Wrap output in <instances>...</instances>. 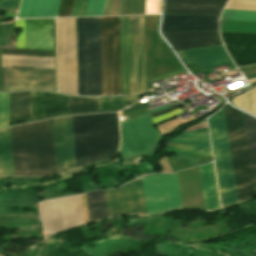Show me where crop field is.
<instances>
[{"label":"crop field","instance_id":"obj_1","mask_svg":"<svg viewBox=\"0 0 256 256\" xmlns=\"http://www.w3.org/2000/svg\"><path fill=\"white\" fill-rule=\"evenodd\" d=\"M15 176L56 174L52 119L11 128Z\"/></svg>","mask_w":256,"mask_h":256},{"label":"crop field","instance_id":"obj_2","mask_svg":"<svg viewBox=\"0 0 256 256\" xmlns=\"http://www.w3.org/2000/svg\"><path fill=\"white\" fill-rule=\"evenodd\" d=\"M76 167L112 158L119 131L116 113L72 116Z\"/></svg>","mask_w":256,"mask_h":256},{"label":"crop field","instance_id":"obj_3","mask_svg":"<svg viewBox=\"0 0 256 256\" xmlns=\"http://www.w3.org/2000/svg\"><path fill=\"white\" fill-rule=\"evenodd\" d=\"M122 95L145 92L143 16L119 17Z\"/></svg>","mask_w":256,"mask_h":256},{"label":"crop field","instance_id":"obj_4","mask_svg":"<svg viewBox=\"0 0 256 256\" xmlns=\"http://www.w3.org/2000/svg\"><path fill=\"white\" fill-rule=\"evenodd\" d=\"M78 95H102L99 18H76Z\"/></svg>","mask_w":256,"mask_h":256},{"label":"crop field","instance_id":"obj_5","mask_svg":"<svg viewBox=\"0 0 256 256\" xmlns=\"http://www.w3.org/2000/svg\"><path fill=\"white\" fill-rule=\"evenodd\" d=\"M222 207L238 202L223 108L208 119Z\"/></svg>","mask_w":256,"mask_h":256},{"label":"crop field","instance_id":"obj_6","mask_svg":"<svg viewBox=\"0 0 256 256\" xmlns=\"http://www.w3.org/2000/svg\"><path fill=\"white\" fill-rule=\"evenodd\" d=\"M239 202L255 195L242 113L224 106Z\"/></svg>","mask_w":256,"mask_h":256},{"label":"crop field","instance_id":"obj_7","mask_svg":"<svg viewBox=\"0 0 256 256\" xmlns=\"http://www.w3.org/2000/svg\"><path fill=\"white\" fill-rule=\"evenodd\" d=\"M58 91L77 95L75 18L56 19Z\"/></svg>","mask_w":256,"mask_h":256},{"label":"crop field","instance_id":"obj_8","mask_svg":"<svg viewBox=\"0 0 256 256\" xmlns=\"http://www.w3.org/2000/svg\"><path fill=\"white\" fill-rule=\"evenodd\" d=\"M103 95L121 94L118 17H100Z\"/></svg>","mask_w":256,"mask_h":256},{"label":"crop field","instance_id":"obj_9","mask_svg":"<svg viewBox=\"0 0 256 256\" xmlns=\"http://www.w3.org/2000/svg\"><path fill=\"white\" fill-rule=\"evenodd\" d=\"M141 181L147 214L182 208L176 173L152 174Z\"/></svg>","mask_w":256,"mask_h":256},{"label":"crop field","instance_id":"obj_10","mask_svg":"<svg viewBox=\"0 0 256 256\" xmlns=\"http://www.w3.org/2000/svg\"><path fill=\"white\" fill-rule=\"evenodd\" d=\"M167 107L170 105L151 109L150 113ZM150 113L121 123L122 144L120 150L124 157L149 150L160 135V132L152 125Z\"/></svg>","mask_w":256,"mask_h":256},{"label":"crop field","instance_id":"obj_11","mask_svg":"<svg viewBox=\"0 0 256 256\" xmlns=\"http://www.w3.org/2000/svg\"><path fill=\"white\" fill-rule=\"evenodd\" d=\"M3 91H55L54 70L2 68Z\"/></svg>","mask_w":256,"mask_h":256},{"label":"crop field","instance_id":"obj_12","mask_svg":"<svg viewBox=\"0 0 256 256\" xmlns=\"http://www.w3.org/2000/svg\"><path fill=\"white\" fill-rule=\"evenodd\" d=\"M105 194L109 217L125 213L146 215L140 178Z\"/></svg>","mask_w":256,"mask_h":256},{"label":"crop field","instance_id":"obj_13","mask_svg":"<svg viewBox=\"0 0 256 256\" xmlns=\"http://www.w3.org/2000/svg\"><path fill=\"white\" fill-rule=\"evenodd\" d=\"M58 173L75 167L71 116L53 119Z\"/></svg>","mask_w":256,"mask_h":256},{"label":"crop field","instance_id":"obj_14","mask_svg":"<svg viewBox=\"0 0 256 256\" xmlns=\"http://www.w3.org/2000/svg\"><path fill=\"white\" fill-rule=\"evenodd\" d=\"M221 35L237 67L256 63V33L221 32Z\"/></svg>","mask_w":256,"mask_h":256},{"label":"crop field","instance_id":"obj_15","mask_svg":"<svg viewBox=\"0 0 256 256\" xmlns=\"http://www.w3.org/2000/svg\"><path fill=\"white\" fill-rule=\"evenodd\" d=\"M177 53L185 63L196 62L201 71L224 64H226L230 70L234 69L222 45L179 51Z\"/></svg>","mask_w":256,"mask_h":256},{"label":"crop field","instance_id":"obj_16","mask_svg":"<svg viewBox=\"0 0 256 256\" xmlns=\"http://www.w3.org/2000/svg\"><path fill=\"white\" fill-rule=\"evenodd\" d=\"M31 118L69 112L68 97L52 92H30Z\"/></svg>","mask_w":256,"mask_h":256},{"label":"crop field","instance_id":"obj_17","mask_svg":"<svg viewBox=\"0 0 256 256\" xmlns=\"http://www.w3.org/2000/svg\"><path fill=\"white\" fill-rule=\"evenodd\" d=\"M26 48L54 50L53 19L25 20Z\"/></svg>","mask_w":256,"mask_h":256},{"label":"crop field","instance_id":"obj_18","mask_svg":"<svg viewBox=\"0 0 256 256\" xmlns=\"http://www.w3.org/2000/svg\"><path fill=\"white\" fill-rule=\"evenodd\" d=\"M183 208L204 207L198 167L177 173Z\"/></svg>","mask_w":256,"mask_h":256},{"label":"crop field","instance_id":"obj_19","mask_svg":"<svg viewBox=\"0 0 256 256\" xmlns=\"http://www.w3.org/2000/svg\"><path fill=\"white\" fill-rule=\"evenodd\" d=\"M175 50L222 44L218 30L163 33Z\"/></svg>","mask_w":256,"mask_h":256},{"label":"crop field","instance_id":"obj_20","mask_svg":"<svg viewBox=\"0 0 256 256\" xmlns=\"http://www.w3.org/2000/svg\"><path fill=\"white\" fill-rule=\"evenodd\" d=\"M224 5L201 0H165L164 14L219 15Z\"/></svg>","mask_w":256,"mask_h":256},{"label":"crop field","instance_id":"obj_21","mask_svg":"<svg viewBox=\"0 0 256 256\" xmlns=\"http://www.w3.org/2000/svg\"><path fill=\"white\" fill-rule=\"evenodd\" d=\"M218 29V17L164 15L162 31Z\"/></svg>","mask_w":256,"mask_h":256},{"label":"crop field","instance_id":"obj_22","mask_svg":"<svg viewBox=\"0 0 256 256\" xmlns=\"http://www.w3.org/2000/svg\"><path fill=\"white\" fill-rule=\"evenodd\" d=\"M206 210L219 208L213 166L207 164L199 167Z\"/></svg>","mask_w":256,"mask_h":256},{"label":"crop field","instance_id":"obj_23","mask_svg":"<svg viewBox=\"0 0 256 256\" xmlns=\"http://www.w3.org/2000/svg\"><path fill=\"white\" fill-rule=\"evenodd\" d=\"M2 67L54 68V58L1 55Z\"/></svg>","mask_w":256,"mask_h":256},{"label":"crop field","instance_id":"obj_24","mask_svg":"<svg viewBox=\"0 0 256 256\" xmlns=\"http://www.w3.org/2000/svg\"><path fill=\"white\" fill-rule=\"evenodd\" d=\"M14 176L10 128L0 131V177Z\"/></svg>","mask_w":256,"mask_h":256},{"label":"crop field","instance_id":"obj_25","mask_svg":"<svg viewBox=\"0 0 256 256\" xmlns=\"http://www.w3.org/2000/svg\"><path fill=\"white\" fill-rule=\"evenodd\" d=\"M12 122L30 118L29 92L11 93Z\"/></svg>","mask_w":256,"mask_h":256},{"label":"crop field","instance_id":"obj_26","mask_svg":"<svg viewBox=\"0 0 256 256\" xmlns=\"http://www.w3.org/2000/svg\"><path fill=\"white\" fill-rule=\"evenodd\" d=\"M90 221L108 217L104 191L86 194Z\"/></svg>","mask_w":256,"mask_h":256},{"label":"crop field","instance_id":"obj_27","mask_svg":"<svg viewBox=\"0 0 256 256\" xmlns=\"http://www.w3.org/2000/svg\"><path fill=\"white\" fill-rule=\"evenodd\" d=\"M251 166L256 187V119L243 113Z\"/></svg>","mask_w":256,"mask_h":256},{"label":"crop field","instance_id":"obj_28","mask_svg":"<svg viewBox=\"0 0 256 256\" xmlns=\"http://www.w3.org/2000/svg\"><path fill=\"white\" fill-rule=\"evenodd\" d=\"M167 146L188 150L211 151L209 139L173 138Z\"/></svg>","mask_w":256,"mask_h":256},{"label":"crop field","instance_id":"obj_29","mask_svg":"<svg viewBox=\"0 0 256 256\" xmlns=\"http://www.w3.org/2000/svg\"><path fill=\"white\" fill-rule=\"evenodd\" d=\"M60 0H35L30 17H55Z\"/></svg>","mask_w":256,"mask_h":256},{"label":"crop field","instance_id":"obj_30","mask_svg":"<svg viewBox=\"0 0 256 256\" xmlns=\"http://www.w3.org/2000/svg\"><path fill=\"white\" fill-rule=\"evenodd\" d=\"M136 96L98 99L99 110H117L137 100Z\"/></svg>","mask_w":256,"mask_h":256},{"label":"crop field","instance_id":"obj_31","mask_svg":"<svg viewBox=\"0 0 256 256\" xmlns=\"http://www.w3.org/2000/svg\"><path fill=\"white\" fill-rule=\"evenodd\" d=\"M232 102L234 105L256 115V88L240 97H234Z\"/></svg>","mask_w":256,"mask_h":256},{"label":"crop field","instance_id":"obj_32","mask_svg":"<svg viewBox=\"0 0 256 256\" xmlns=\"http://www.w3.org/2000/svg\"><path fill=\"white\" fill-rule=\"evenodd\" d=\"M70 113L97 110V99L69 97Z\"/></svg>","mask_w":256,"mask_h":256},{"label":"crop field","instance_id":"obj_33","mask_svg":"<svg viewBox=\"0 0 256 256\" xmlns=\"http://www.w3.org/2000/svg\"><path fill=\"white\" fill-rule=\"evenodd\" d=\"M221 20L256 21V12L223 10Z\"/></svg>","mask_w":256,"mask_h":256},{"label":"crop field","instance_id":"obj_34","mask_svg":"<svg viewBox=\"0 0 256 256\" xmlns=\"http://www.w3.org/2000/svg\"><path fill=\"white\" fill-rule=\"evenodd\" d=\"M9 125L8 93L0 94V129Z\"/></svg>","mask_w":256,"mask_h":256},{"label":"crop field","instance_id":"obj_35","mask_svg":"<svg viewBox=\"0 0 256 256\" xmlns=\"http://www.w3.org/2000/svg\"><path fill=\"white\" fill-rule=\"evenodd\" d=\"M225 9L256 11V0H230Z\"/></svg>","mask_w":256,"mask_h":256},{"label":"crop field","instance_id":"obj_36","mask_svg":"<svg viewBox=\"0 0 256 256\" xmlns=\"http://www.w3.org/2000/svg\"><path fill=\"white\" fill-rule=\"evenodd\" d=\"M1 54L13 55H36V56H54V52H41L28 49H4L0 48Z\"/></svg>","mask_w":256,"mask_h":256},{"label":"crop field","instance_id":"obj_37","mask_svg":"<svg viewBox=\"0 0 256 256\" xmlns=\"http://www.w3.org/2000/svg\"><path fill=\"white\" fill-rule=\"evenodd\" d=\"M106 0H89L85 16L102 15Z\"/></svg>","mask_w":256,"mask_h":256},{"label":"crop field","instance_id":"obj_38","mask_svg":"<svg viewBox=\"0 0 256 256\" xmlns=\"http://www.w3.org/2000/svg\"><path fill=\"white\" fill-rule=\"evenodd\" d=\"M14 33V22L11 24L0 25V45H5L6 36Z\"/></svg>","mask_w":256,"mask_h":256},{"label":"crop field","instance_id":"obj_39","mask_svg":"<svg viewBox=\"0 0 256 256\" xmlns=\"http://www.w3.org/2000/svg\"><path fill=\"white\" fill-rule=\"evenodd\" d=\"M88 0H75L71 16H84Z\"/></svg>","mask_w":256,"mask_h":256},{"label":"crop field","instance_id":"obj_40","mask_svg":"<svg viewBox=\"0 0 256 256\" xmlns=\"http://www.w3.org/2000/svg\"><path fill=\"white\" fill-rule=\"evenodd\" d=\"M34 0H22L18 18L29 17Z\"/></svg>","mask_w":256,"mask_h":256},{"label":"crop field","instance_id":"obj_41","mask_svg":"<svg viewBox=\"0 0 256 256\" xmlns=\"http://www.w3.org/2000/svg\"><path fill=\"white\" fill-rule=\"evenodd\" d=\"M178 137L180 138H197V137H209L208 130L202 129V130H196V131H188L180 134Z\"/></svg>","mask_w":256,"mask_h":256},{"label":"crop field","instance_id":"obj_42","mask_svg":"<svg viewBox=\"0 0 256 256\" xmlns=\"http://www.w3.org/2000/svg\"><path fill=\"white\" fill-rule=\"evenodd\" d=\"M160 13V0H146V14Z\"/></svg>","mask_w":256,"mask_h":256},{"label":"crop field","instance_id":"obj_43","mask_svg":"<svg viewBox=\"0 0 256 256\" xmlns=\"http://www.w3.org/2000/svg\"><path fill=\"white\" fill-rule=\"evenodd\" d=\"M74 0H62L60 12L58 17L70 16Z\"/></svg>","mask_w":256,"mask_h":256},{"label":"crop field","instance_id":"obj_44","mask_svg":"<svg viewBox=\"0 0 256 256\" xmlns=\"http://www.w3.org/2000/svg\"><path fill=\"white\" fill-rule=\"evenodd\" d=\"M20 0H0V8L18 10Z\"/></svg>","mask_w":256,"mask_h":256},{"label":"crop field","instance_id":"obj_45","mask_svg":"<svg viewBox=\"0 0 256 256\" xmlns=\"http://www.w3.org/2000/svg\"><path fill=\"white\" fill-rule=\"evenodd\" d=\"M186 71L183 69V70H179V71H176V72H172V73H169V74H165V75H162V76H159V77H155V78H152V79H148L147 80V90L149 89V86H148V83H152V82H155V81H158V80H161V79H168L170 77H173V76H176L178 74H182V73H185Z\"/></svg>","mask_w":256,"mask_h":256},{"label":"crop field","instance_id":"obj_46","mask_svg":"<svg viewBox=\"0 0 256 256\" xmlns=\"http://www.w3.org/2000/svg\"><path fill=\"white\" fill-rule=\"evenodd\" d=\"M240 69L245 74L247 79L256 76V66L242 67Z\"/></svg>","mask_w":256,"mask_h":256},{"label":"crop field","instance_id":"obj_47","mask_svg":"<svg viewBox=\"0 0 256 256\" xmlns=\"http://www.w3.org/2000/svg\"><path fill=\"white\" fill-rule=\"evenodd\" d=\"M148 106H149V104H148V102H147V103H144V104H141V105H138V106H135V107H132V108H129V109L123 110L121 115H124V114L130 113V112H133V111H136V110H139V109H142V108L148 107Z\"/></svg>","mask_w":256,"mask_h":256},{"label":"crop field","instance_id":"obj_48","mask_svg":"<svg viewBox=\"0 0 256 256\" xmlns=\"http://www.w3.org/2000/svg\"><path fill=\"white\" fill-rule=\"evenodd\" d=\"M182 105H183V104L180 103V104H178V105H175L174 107L167 108V109H165V110H163V111L156 112V113H152L151 115H152V117H153V116H156V115H159V114L168 112V111H170V110H173V109H175V108H178V107H180V106H182Z\"/></svg>","mask_w":256,"mask_h":256},{"label":"crop field","instance_id":"obj_49","mask_svg":"<svg viewBox=\"0 0 256 256\" xmlns=\"http://www.w3.org/2000/svg\"><path fill=\"white\" fill-rule=\"evenodd\" d=\"M211 1H221V2H227L228 0H211Z\"/></svg>","mask_w":256,"mask_h":256},{"label":"crop field","instance_id":"obj_50","mask_svg":"<svg viewBox=\"0 0 256 256\" xmlns=\"http://www.w3.org/2000/svg\"><path fill=\"white\" fill-rule=\"evenodd\" d=\"M0 91H1V87H0Z\"/></svg>","mask_w":256,"mask_h":256}]
</instances>
